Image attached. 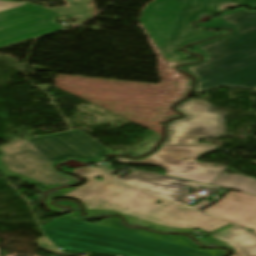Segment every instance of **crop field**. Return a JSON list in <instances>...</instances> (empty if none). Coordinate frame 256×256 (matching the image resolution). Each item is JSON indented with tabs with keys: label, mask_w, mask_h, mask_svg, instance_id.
<instances>
[{
	"label": "crop field",
	"mask_w": 256,
	"mask_h": 256,
	"mask_svg": "<svg viewBox=\"0 0 256 256\" xmlns=\"http://www.w3.org/2000/svg\"><path fill=\"white\" fill-rule=\"evenodd\" d=\"M58 173H59V172H58ZM60 174H62V173H60ZM62 175L66 176L67 178L71 179L72 181H70V182H68V183H65V184H61V185H56V186L47 187V186H44V185H42V184H39V183H37V182H34V181H32V180H29V179H26V178H23V177H20V176H17V175H14V176H12V177H19V178H20L23 182H25V183L40 185V186H42V187H44V188H46V189H48V188H56V187H63V186H67V185H70V184H72V183L77 182L76 178H74V177H70V176H67V175H65V174H62Z\"/></svg>",
	"instance_id": "obj_19"
},
{
	"label": "crop field",
	"mask_w": 256,
	"mask_h": 256,
	"mask_svg": "<svg viewBox=\"0 0 256 256\" xmlns=\"http://www.w3.org/2000/svg\"><path fill=\"white\" fill-rule=\"evenodd\" d=\"M232 2L256 7V0H155L146 6L140 21L172 63L189 57L179 52L178 46L223 33L194 30L187 24L201 13L219 11L222 5Z\"/></svg>",
	"instance_id": "obj_4"
},
{
	"label": "crop field",
	"mask_w": 256,
	"mask_h": 256,
	"mask_svg": "<svg viewBox=\"0 0 256 256\" xmlns=\"http://www.w3.org/2000/svg\"><path fill=\"white\" fill-rule=\"evenodd\" d=\"M212 185L256 195V180L234 173L223 174Z\"/></svg>",
	"instance_id": "obj_14"
},
{
	"label": "crop field",
	"mask_w": 256,
	"mask_h": 256,
	"mask_svg": "<svg viewBox=\"0 0 256 256\" xmlns=\"http://www.w3.org/2000/svg\"><path fill=\"white\" fill-rule=\"evenodd\" d=\"M65 2L68 5V7L55 8V9L58 10L60 13H62L64 16H77V18H80L79 24L83 23L88 18H90L93 14H95L90 0H80V1L65 0ZM87 5H90V6H87ZM88 7H91V9H88ZM88 13H93V14H88Z\"/></svg>",
	"instance_id": "obj_15"
},
{
	"label": "crop field",
	"mask_w": 256,
	"mask_h": 256,
	"mask_svg": "<svg viewBox=\"0 0 256 256\" xmlns=\"http://www.w3.org/2000/svg\"><path fill=\"white\" fill-rule=\"evenodd\" d=\"M119 215H121L124 219H126L127 225H129V226H143V227L147 228L148 225H153L154 227L151 228V229L158 230V231H161V232H171V231L191 232L192 230H194V229L169 228V227L160 226V225H157V224H154V223H150V222L138 219V218L126 216V215H123V214H120V213H119Z\"/></svg>",
	"instance_id": "obj_17"
},
{
	"label": "crop field",
	"mask_w": 256,
	"mask_h": 256,
	"mask_svg": "<svg viewBox=\"0 0 256 256\" xmlns=\"http://www.w3.org/2000/svg\"><path fill=\"white\" fill-rule=\"evenodd\" d=\"M1 176V175H0Z\"/></svg>",
	"instance_id": "obj_28"
},
{
	"label": "crop field",
	"mask_w": 256,
	"mask_h": 256,
	"mask_svg": "<svg viewBox=\"0 0 256 256\" xmlns=\"http://www.w3.org/2000/svg\"><path fill=\"white\" fill-rule=\"evenodd\" d=\"M0 161L20 176L50 186L70 181L57 174L51 164L25 140H17L0 146Z\"/></svg>",
	"instance_id": "obj_8"
},
{
	"label": "crop field",
	"mask_w": 256,
	"mask_h": 256,
	"mask_svg": "<svg viewBox=\"0 0 256 256\" xmlns=\"http://www.w3.org/2000/svg\"><path fill=\"white\" fill-rule=\"evenodd\" d=\"M234 24L239 33L200 47L209 55L207 62L190 67L197 79L195 93L231 86L256 87V13L243 10L221 17Z\"/></svg>",
	"instance_id": "obj_3"
},
{
	"label": "crop field",
	"mask_w": 256,
	"mask_h": 256,
	"mask_svg": "<svg viewBox=\"0 0 256 256\" xmlns=\"http://www.w3.org/2000/svg\"><path fill=\"white\" fill-rule=\"evenodd\" d=\"M235 247L233 256H256V236L234 225L213 236Z\"/></svg>",
	"instance_id": "obj_13"
},
{
	"label": "crop field",
	"mask_w": 256,
	"mask_h": 256,
	"mask_svg": "<svg viewBox=\"0 0 256 256\" xmlns=\"http://www.w3.org/2000/svg\"><path fill=\"white\" fill-rule=\"evenodd\" d=\"M120 180L175 202L186 197L188 193V191H186L187 186L193 188L206 187L215 191L220 190L219 187L208 186L192 181L139 170L120 178Z\"/></svg>",
	"instance_id": "obj_10"
},
{
	"label": "crop field",
	"mask_w": 256,
	"mask_h": 256,
	"mask_svg": "<svg viewBox=\"0 0 256 256\" xmlns=\"http://www.w3.org/2000/svg\"><path fill=\"white\" fill-rule=\"evenodd\" d=\"M100 167H102L103 169L107 170L106 168H104L102 165H100ZM108 171V170H107Z\"/></svg>",
	"instance_id": "obj_26"
},
{
	"label": "crop field",
	"mask_w": 256,
	"mask_h": 256,
	"mask_svg": "<svg viewBox=\"0 0 256 256\" xmlns=\"http://www.w3.org/2000/svg\"><path fill=\"white\" fill-rule=\"evenodd\" d=\"M240 10H243V9H240ZM240 10L230 11V12H227V13H225V14H223V15L230 14V13H233V12H236V11H240ZM223 15H222V16H223ZM220 17H221V16H220ZM220 17L211 20V21L208 22L207 24H197V25H198V26H204V27H221V28H228V27H230V28H233V29H234V33H237V32H238L235 26H233L232 24H230V23H228V22H226V21H224V20H221ZM234 33H233V34H234ZM222 38H224V37H222ZM218 39H221V38H217V39H213V40H210V41H206V42H203V43H200V44L193 45V47H194L197 51H199V52H201V53L203 54V56H204V61H203V62H205V61L207 60L208 55L205 54V53H204L202 50H200L198 47H200V46H202V45H205V44H208V43H210V42L216 41V40H218ZM195 65H196V64H195ZM192 66H193V65H192ZM188 67H190V66L182 67V69L185 70L186 72L192 74V73L188 70ZM192 75H193V74H192ZM193 76H194V75H193ZM194 77H195V76H194ZM195 78H196V77H195Z\"/></svg>",
	"instance_id": "obj_16"
},
{
	"label": "crop field",
	"mask_w": 256,
	"mask_h": 256,
	"mask_svg": "<svg viewBox=\"0 0 256 256\" xmlns=\"http://www.w3.org/2000/svg\"><path fill=\"white\" fill-rule=\"evenodd\" d=\"M57 204L67 205V206L73 208V211L69 215H66L64 217L82 221L81 217H80V210L76 203H73L70 201H64V202H58ZM82 222H84V221H82ZM85 223H88V222H85ZM89 224L105 225V226L129 231V232H134V233H138V234H142V235H146V236H150V237H154V238H159V239H163V240H167V241H171V242H175V243L188 245L195 249L201 250L198 248V246L195 244V242L187 236H170V235H163V234H155V233L147 232L143 229L128 228L122 223L121 219H119L117 217L104 219L98 223H89ZM201 251L212 252L213 256H220L226 252V250H201Z\"/></svg>",
	"instance_id": "obj_12"
},
{
	"label": "crop field",
	"mask_w": 256,
	"mask_h": 256,
	"mask_svg": "<svg viewBox=\"0 0 256 256\" xmlns=\"http://www.w3.org/2000/svg\"><path fill=\"white\" fill-rule=\"evenodd\" d=\"M252 163H255V164H256V161H252Z\"/></svg>",
	"instance_id": "obj_27"
},
{
	"label": "crop field",
	"mask_w": 256,
	"mask_h": 256,
	"mask_svg": "<svg viewBox=\"0 0 256 256\" xmlns=\"http://www.w3.org/2000/svg\"><path fill=\"white\" fill-rule=\"evenodd\" d=\"M203 212L236 223L256 233V196L230 191Z\"/></svg>",
	"instance_id": "obj_11"
},
{
	"label": "crop field",
	"mask_w": 256,
	"mask_h": 256,
	"mask_svg": "<svg viewBox=\"0 0 256 256\" xmlns=\"http://www.w3.org/2000/svg\"><path fill=\"white\" fill-rule=\"evenodd\" d=\"M176 110L185 114L184 119L166 125L168 137L161 146H216L199 144L200 138L226 137V121L228 115L216 111L206 101L189 99L178 105Z\"/></svg>",
	"instance_id": "obj_5"
},
{
	"label": "crop field",
	"mask_w": 256,
	"mask_h": 256,
	"mask_svg": "<svg viewBox=\"0 0 256 256\" xmlns=\"http://www.w3.org/2000/svg\"><path fill=\"white\" fill-rule=\"evenodd\" d=\"M201 243L205 244V245H208V246H226V247H231V248L234 249L233 246H231L227 243L221 242L219 240L213 239L211 237H208L206 239L201 240Z\"/></svg>",
	"instance_id": "obj_20"
},
{
	"label": "crop field",
	"mask_w": 256,
	"mask_h": 256,
	"mask_svg": "<svg viewBox=\"0 0 256 256\" xmlns=\"http://www.w3.org/2000/svg\"><path fill=\"white\" fill-rule=\"evenodd\" d=\"M57 17V12L31 3L0 12V47L64 29L53 22Z\"/></svg>",
	"instance_id": "obj_7"
},
{
	"label": "crop field",
	"mask_w": 256,
	"mask_h": 256,
	"mask_svg": "<svg viewBox=\"0 0 256 256\" xmlns=\"http://www.w3.org/2000/svg\"><path fill=\"white\" fill-rule=\"evenodd\" d=\"M27 141L52 163L68 157L101 160L102 154L111 152L79 130Z\"/></svg>",
	"instance_id": "obj_9"
},
{
	"label": "crop field",
	"mask_w": 256,
	"mask_h": 256,
	"mask_svg": "<svg viewBox=\"0 0 256 256\" xmlns=\"http://www.w3.org/2000/svg\"><path fill=\"white\" fill-rule=\"evenodd\" d=\"M113 213H117V212H112L108 210H87V209L85 210L86 216H90V217H101V216H106Z\"/></svg>",
	"instance_id": "obj_21"
},
{
	"label": "crop field",
	"mask_w": 256,
	"mask_h": 256,
	"mask_svg": "<svg viewBox=\"0 0 256 256\" xmlns=\"http://www.w3.org/2000/svg\"><path fill=\"white\" fill-rule=\"evenodd\" d=\"M26 3H9V2H2L0 1V11L11 9Z\"/></svg>",
	"instance_id": "obj_23"
},
{
	"label": "crop field",
	"mask_w": 256,
	"mask_h": 256,
	"mask_svg": "<svg viewBox=\"0 0 256 256\" xmlns=\"http://www.w3.org/2000/svg\"><path fill=\"white\" fill-rule=\"evenodd\" d=\"M37 241H38V243H39V245H40V247H41L42 249L51 250V251H55V252L61 253L58 249H56V248L51 244V242H50L46 237L40 238V239H38Z\"/></svg>",
	"instance_id": "obj_22"
},
{
	"label": "crop field",
	"mask_w": 256,
	"mask_h": 256,
	"mask_svg": "<svg viewBox=\"0 0 256 256\" xmlns=\"http://www.w3.org/2000/svg\"><path fill=\"white\" fill-rule=\"evenodd\" d=\"M211 203H213V202L212 201H208V200H203L199 204L194 206L193 208L201 210V209L205 208L206 206H208Z\"/></svg>",
	"instance_id": "obj_24"
},
{
	"label": "crop field",
	"mask_w": 256,
	"mask_h": 256,
	"mask_svg": "<svg viewBox=\"0 0 256 256\" xmlns=\"http://www.w3.org/2000/svg\"><path fill=\"white\" fill-rule=\"evenodd\" d=\"M43 229L64 253L101 252L124 256H212L190 247L64 217Z\"/></svg>",
	"instance_id": "obj_2"
},
{
	"label": "crop field",
	"mask_w": 256,
	"mask_h": 256,
	"mask_svg": "<svg viewBox=\"0 0 256 256\" xmlns=\"http://www.w3.org/2000/svg\"><path fill=\"white\" fill-rule=\"evenodd\" d=\"M1 156V155H0ZM0 171L2 172V173H4L6 176H8V175H10V174H13V173H11V172H9L5 167H4V165L0 162Z\"/></svg>",
	"instance_id": "obj_25"
},
{
	"label": "crop field",
	"mask_w": 256,
	"mask_h": 256,
	"mask_svg": "<svg viewBox=\"0 0 256 256\" xmlns=\"http://www.w3.org/2000/svg\"><path fill=\"white\" fill-rule=\"evenodd\" d=\"M75 173L88 182L63 197L76 198L88 209H108L135 216L160 225L178 228H199L211 233L228 222L135 189L99 168H78ZM101 176L102 181L95 180ZM162 201L156 204V201Z\"/></svg>",
	"instance_id": "obj_1"
},
{
	"label": "crop field",
	"mask_w": 256,
	"mask_h": 256,
	"mask_svg": "<svg viewBox=\"0 0 256 256\" xmlns=\"http://www.w3.org/2000/svg\"><path fill=\"white\" fill-rule=\"evenodd\" d=\"M77 187L74 188H67V189H62V190H57V191H51L47 193L46 199H45V203L47 204V206L50 208V210L53 211H58V212H65L68 209L67 208H60L54 205H51L50 202L53 198L55 197H61L63 196L65 193L70 192L74 189H76Z\"/></svg>",
	"instance_id": "obj_18"
},
{
	"label": "crop field",
	"mask_w": 256,
	"mask_h": 256,
	"mask_svg": "<svg viewBox=\"0 0 256 256\" xmlns=\"http://www.w3.org/2000/svg\"><path fill=\"white\" fill-rule=\"evenodd\" d=\"M218 147H161L152 156L138 161L116 158L119 163L153 164L166 170L165 175L211 185L226 170L215 164H201L195 159ZM187 158V160H182ZM215 165L216 167H212ZM184 171V173H181Z\"/></svg>",
	"instance_id": "obj_6"
}]
</instances>
